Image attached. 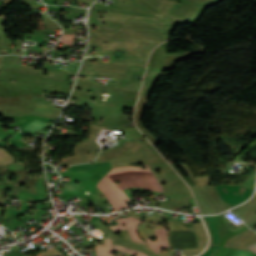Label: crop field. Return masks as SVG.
<instances>
[{
  "label": "crop field",
  "instance_id": "4",
  "mask_svg": "<svg viewBox=\"0 0 256 256\" xmlns=\"http://www.w3.org/2000/svg\"><path fill=\"white\" fill-rule=\"evenodd\" d=\"M17 58H18V56H16V55H14V56H4L0 69L12 70V71H21V72H29V73H35V74L43 75L44 69L34 70L33 66L16 65ZM47 72H48V74L46 76L47 77H52V78H58V79L66 80L67 76H68L67 73L55 72V71H50V70H47ZM71 75H73V74H71Z\"/></svg>",
  "mask_w": 256,
  "mask_h": 256
},
{
  "label": "crop field",
  "instance_id": "3",
  "mask_svg": "<svg viewBox=\"0 0 256 256\" xmlns=\"http://www.w3.org/2000/svg\"><path fill=\"white\" fill-rule=\"evenodd\" d=\"M117 221L119 225L112 226L110 227L111 229H113L114 231H117L120 229L128 228L132 239L136 241H141L135 230V227L136 225L139 224L140 220L130 217V218L119 219ZM123 223H126L127 227H123L122 226ZM156 232H157L158 240L151 241L149 238H145L149 243V245L151 246V248L158 252L163 247H170L168 244L167 236H166L167 231L164 228H160V229H157Z\"/></svg>",
  "mask_w": 256,
  "mask_h": 256
},
{
  "label": "crop field",
  "instance_id": "6",
  "mask_svg": "<svg viewBox=\"0 0 256 256\" xmlns=\"http://www.w3.org/2000/svg\"><path fill=\"white\" fill-rule=\"evenodd\" d=\"M106 246H96L97 256H112V241L105 238Z\"/></svg>",
  "mask_w": 256,
  "mask_h": 256
},
{
  "label": "crop field",
  "instance_id": "11",
  "mask_svg": "<svg viewBox=\"0 0 256 256\" xmlns=\"http://www.w3.org/2000/svg\"><path fill=\"white\" fill-rule=\"evenodd\" d=\"M75 35H63L60 42L66 43L68 45H73Z\"/></svg>",
  "mask_w": 256,
  "mask_h": 256
},
{
  "label": "crop field",
  "instance_id": "9",
  "mask_svg": "<svg viewBox=\"0 0 256 256\" xmlns=\"http://www.w3.org/2000/svg\"><path fill=\"white\" fill-rule=\"evenodd\" d=\"M79 184L76 183H64L63 192L77 193Z\"/></svg>",
  "mask_w": 256,
  "mask_h": 256
},
{
  "label": "crop field",
  "instance_id": "16",
  "mask_svg": "<svg viewBox=\"0 0 256 256\" xmlns=\"http://www.w3.org/2000/svg\"><path fill=\"white\" fill-rule=\"evenodd\" d=\"M1 139V138H0Z\"/></svg>",
  "mask_w": 256,
  "mask_h": 256
},
{
  "label": "crop field",
  "instance_id": "10",
  "mask_svg": "<svg viewBox=\"0 0 256 256\" xmlns=\"http://www.w3.org/2000/svg\"><path fill=\"white\" fill-rule=\"evenodd\" d=\"M114 249L126 251V252H129V253H131V254H134V253H135V254H138V256H147V255L143 254L142 252L135 251V250L130 249V248L118 246V245H115V244H114Z\"/></svg>",
  "mask_w": 256,
  "mask_h": 256
},
{
  "label": "crop field",
  "instance_id": "12",
  "mask_svg": "<svg viewBox=\"0 0 256 256\" xmlns=\"http://www.w3.org/2000/svg\"><path fill=\"white\" fill-rule=\"evenodd\" d=\"M77 82L83 83V84H88V85H95V86L104 87L102 85H97L96 81H94V80H90V79H86V78H81V77L78 78Z\"/></svg>",
  "mask_w": 256,
  "mask_h": 256
},
{
  "label": "crop field",
  "instance_id": "15",
  "mask_svg": "<svg viewBox=\"0 0 256 256\" xmlns=\"http://www.w3.org/2000/svg\"><path fill=\"white\" fill-rule=\"evenodd\" d=\"M248 249H250L251 251L255 252L256 253V244H253V245H249L247 246Z\"/></svg>",
  "mask_w": 256,
  "mask_h": 256
},
{
  "label": "crop field",
  "instance_id": "7",
  "mask_svg": "<svg viewBox=\"0 0 256 256\" xmlns=\"http://www.w3.org/2000/svg\"><path fill=\"white\" fill-rule=\"evenodd\" d=\"M14 161L15 158L11 154L6 151H0V165H5Z\"/></svg>",
  "mask_w": 256,
  "mask_h": 256
},
{
  "label": "crop field",
  "instance_id": "2",
  "mask_svg": "<svg viewBox=\"0 0 256 256\" xmlns=\"http://www.w3.org/2000/svg\"><path fill=\"white\" fill-rule=\"evenodd\" d=\"M92 62H84L80 75L89 76H105L114 78V80L124 81L131 67L107 65L102 63H97L96 66H92ZM93 71L92 74H88V71Z\"/></svg>",
  "mask_w": 256,
  "mask_h": 256
},
{
  "label": "crop field",
  "instance_id": "14",
  "mask_svg": "<svg viewBox=\"0 0 256 256\" xmlns=\"http://www.w3.org/2000/svg\"><path fill=\"white\" fill-rule=\"evenodd\" d=\"M252 252L248 250H237L233 253L232 256H250Z\"/></svg>",
  "mask_w": 256,
  "mask_h": 256
},
{
  "label": "crop field",
  "instance_id": "5",
  "mask_svg": "<svg viewBox=\"0 0 256 256\" xmlns=\"http://www.w3.org/2000/svg\"><path fill=\"white\" fill-rule=\"evenodd\" d=\"M97 187L112 204L116 211L128 208L126 202L120 197V195L114 190V188L106 181L104 177L100 182H98Z\"/></svg>",
  "mask_w": 256,
  "mask_h": 256
},
{
  "label": "crop field",
  "instance_id": "8",
  "mask_svg": "<svg viewBox=\"0 0 256 256\" xmlns=\"http://www.w3.org/2000/svg\"><path fill=\"white\" fill-rule=\"evenodd\" d=\"M46 125L47 124H45V123H43L41 121L36 120V121L32 122L31 124L27 125L26 127H24V129H26V130H28V131L33 133L36 130H38V129L46 126Z\"/></svg>",
  "mask_w": 256,
  "mask_h": 256
},
{
  "label": "crop field",
  "instance_id": "13",
  "mask_svg": "<svg viewBox=\"0 0 256 256\" xmlns=\"http://www.w3.org/2000/svg\"><path fill=\"white\" fill-rule=\"evenodd\" d=\"M5 21H7L6 17H0V38H2V39H7V37H6L5 33H4V28L1 25Z\"/></svg>",
  "mask_w": 256,
  "mask_h": 256
},
{
  "label": "crop field",
  "instance_id": "1",
  "mask_svg": "<svg viewBox=\"0 0 256 256\" xmlns=\"http://www.w3.org/2000/svg\"><path fill=\"white\" fill-rule=\"evenodd\" d=\"M146 167L147 169L142 170V172L148 179L153 189L163 192V188L157 181L154 174L149 169L148 165H146ZM140 169L142 168L136 166L113 168L104 177L115 188V190L122 196V198L125 201H129L130 199L122 190L133 187L152 189V187L150 186V184L148 183ZM113 181H120V183L114 184Z\"/></svg>",
  "mask_w": 256,
  "mask_h": 256
}]
</instances>
